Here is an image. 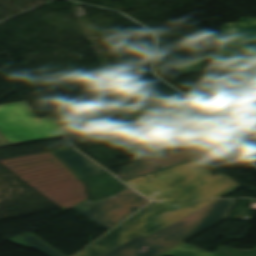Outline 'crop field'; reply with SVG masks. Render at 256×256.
I'll list each match as a JSON object with an SVG mask.
<instances>
[{
  "instance_id": "8a807250",
  "label": "crop field",
  "mask_w": 256,
  "mask_h": 256,
  "mask_svg": "<svg viewBox=\"0 0 256 256\" xmlns=\"http://www.w3.org/2000/svg\"><path fill=\"white\" fill-rule=\"evenodd\" d=\"M209 172L192 161L125 181L154 202L76 256H101L140 234L148 236L242 187L228 176H212Z\"/></svg>"
},
{
  "instance_id": "ac0d7876",
  "label": "crop field",
  "mask_w": 256,
  "mask_h": 256,
  "mask_svg": "<svg viewBox=\"0 0 256 256\" xmlns=\"http://www.w3.org/2000/svg\"><path fill=\"white\" fill-rule=\"evenodd\" d=\"M0 162L65 210L74 207L70 203L86 196L83 183L54 155L38 159L28 156Z\"/></svg>"
},
{
  "instance_id": "34b2d1b8",
  "label": "crop field",
  "mask_w": 256,
  "mask_h": 256,
  "mask_svg": "<svg viewBox=\"0 0 256 256\" xmlns=\"http://www.w3.org/2000/svg\"><path fill=\"white\" fill-rule=\"evenodd\" d=\"M232 201L217 200L148 238L139 236L105 256H154L224 219Z\"/></svg>"
},
{
  "instance_id": "412701ff",
  "label": "crop field",
  "mask_w": 256,
  "mask_h": 256,
  "mask_svg": "<svg viewBox=\"0 0 256 256\" xmlns=\"http://www.w3.org/2000/svg\"><path fill=\"white\" fill-rule=\"evenodd\" d=\"M0 133L11 145L68 135L50 118L38 120L26 102L0 105Z\"/></svg>"
},
{
  "instance_id": "f4fd0767",
  "label": "crop field",
  "mask_w": 256,
  "mask_h": 256,
  "mask_svg": "<svg viewBox=\"0 0 256 256\" xmlns=\"http://www.w3.org/2000/svg\"><path fill=\"white\" fill-rule=\"evenodd\" d=\"M210 59L232 61L235 66L256 62V19H241L240 23L226 24L223 28L220 50L216 55L176 66L180 74L202 71Z\"/></svg>"
},
{
  "instance_id": "dd49c442",
  "label": "crop field",
  "mask_w": 256,
  "mask_h": 256,
  "mask_svg": "<svg viewBox=\"0 0 256 256\" xmlns=\"http://www.w3.org/2000/svg\"><path fill=\"white\" fill-rule=\"evenodd\" d=\"M124 150L140 162L121 167L123 180L204 156V145L173 153L156 140L140 141Z\"/></svg>"
},
{
  "instance_id": "e52e79f7",
  "label": "crop field",
  "mask_w": 256,
  "mask_h": 256,
  "mask_svg": "<svg viewBox=\"0 0 256 256\" xmlns=\"http://www.w3.org/2000/svg\"><path fill=\"white\" fill-rule=\"evenodd\" d=\"M86 199L85 197L72 203L75 205L72 209L106 230L149 202L128 187L119 194L100 201H85Z\"/></svg>"
},
{
  "instance_id": "d8731c3e",
  "label": "crop field",
  "mask_w": 256,
  "mask_h": 256,
  "mask_svg": "<svg viewBox=\"0 0 256 256\" xmlns=\"http://www.w3.org/2000/svg\"><path fill=\"white\" fill-rule=\"evenodd\" d=\"M230 81L238 84L246 99L224 105L222 121L256 111V63L234 67Z\"/></svg>"
},
{
  "instance_id": "5a996713",
  "label": "crop field",
  "mask_w": 256,
  "mask_h": 256,
  "mask_svg": "<svg viewBox=\"0 0 256 256\" xmlns=\"http://www.w3.org/2000/svg\"><path fill=\"white\" fill-rule=\"evenodd\" d=\"M55 154L79 179L106 173L105 170L74 149L34 155L35 158Z\"/></svg>"
},
{
  "instance_id": "3316defc",
  "label": "crop field",
  "mask_w": 256,
  "mask_h": 256,
  "mask_svg": "<svg viewBox=\"0 0 256 256\" xmlns=\"http://www.w3.org/2000/svg\"><path fill=\"white\" fill-rule=\"evenodd\" d=\"M235 140L233 137L219 140V135L214 136L206 140V151L207 157L196 160L198 163L202 164L204 167L210 166L214 163L218 156Z\"/></svg>"
},
{
  "instance_id": "28ad6ade",
  "label": "crop field",
  "mask_w": 256,
  "mask_h": 256,
  "mask_svg": "<svg viewBox=\"0 0 256 256\" xmlns=\"http://www.w3.org/2000/svg\"><path fill=\"white\" fill-rule=\"evenodd\" d=\"M9 241L19 244L21 246L33 248L47 256H63L61 253H59L31 233Z\"/></svg>"
},
{
  "instance_id": "d1516ede",
  "label": "crop field",
  "mask_w": 256,
  "mask_h": 256,
  "mask_svg": "<svg viewBox=\"0 0 256 256\" xmlns=\"http://www.w3.org/2000/svg\"><path fill=\"white\" fill-rule=\"evenodd\" d=\"M164 256H216L209 252L187 245L185 243L161 254Z\"/></svg>"
},
{
  "instance_id": "22f410ed",
  "label": "crop field",
  "mask_w": 256,
  "mask_h": 256,
  "mask_svg": "<svg viewBox=\"0 0 256 256\" xmlns=\"http://www.w3.org/2000/svg\"><path fill=\"white\" fill-rule=\"evenodd\" d=\"M236 121H244L246 124L245 130L247 131V133H244V135H247L256 140V112L228 120L227 123L229 124Z\"/></svg>"
},
{
  "instance_id": "cbeb9de0",
  "label": "crop field",
  "mask_w": 256,
  "mask_h": 256,
  "mask_svg": "<svg viewBox=\"0 0 256 256\" xmlns=\"http://www.w3.org/2000/svg\"><path fill=\"white\" fill-rule=\"evenodd\" d=\"M219 256H256V249H251L248 251L238 250L231 247L223 246L214 253Z\"/></svg>"
},
{
  "instance_id": "5142ce71",
  "label": "crop field",
  "mask_w": 256,
  "mask_h": 256,
  "mask_svg": "<svg viewBox=\"0 0 256 256\" xmlns=\"http://www.w3.org/2000/svg\"><path fill=\"white\" fill-rule=\"evenodd\" d=\"M9 145L0 135V147Z\"/></svg>"
}]
</instances>
